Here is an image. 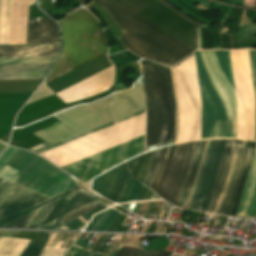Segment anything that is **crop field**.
<instances>
[{
  "label": "crop field",
  "instance_id": "8a807250",
  "mask_svg": "<svg viewBox=\"0 0 256 256\" xmlns=\"http://www.w3.org/2000/svg\"><path fill=\"white\" fill-rule=\"evenodd\" d=\"M0 175L48 198L76 185L73 178L39 156L8 147L0 156ZM0 176V218L48 198Z\"/></svg>",
  "mask_w": 256,
  "mask_h": 256
},
{
  "label": "crop field",
  "instance_id": "a9b5d70f",
  "mask_svg": "<svg viewBox=\"0 0 256 256\" xmlns=\"http://www.w3.org/2000/svg\"><path fill=\"white\" fill-rule=\"evenodd\" d=\"M135 248L123 247L115 252L113 256H130Z\"/></svg>",
  "mask_w": 256,
  "mask_h": 256
},
{
  "label": "crop field",
  "instance_id": "cbeb9de0",
  "mask_svg": "<svg viewBox=\"0 0 256 256\" xmlns=\"http://www.w3.org/2000/svg\"><path fill=\"white\" fill-rule=\"evenodd\" d=\"M50 64L0 65V80L43 79Z\"/></svg>",
  "mask_w": 256,
  "mask_h": 256
},
{
  "label": "crop field",
  "instance_id": "5866460e",
  "mask_svg": "<svg viewBox=\"0 0 256 256\" xmlns=\"http://www.w3.org/2000/svg\"><path fill=\"white\" fill-rule=\"evenodd\" d=\"M112 255V253L111 254H109V255H105V256H111ZM94 256H102V255H99V254H97V253H95V255Z\"/></svg>",
  "mask_w": 256,
  "mask_h": 256
},
{
  "label": "crop field",
  "instance_id": "dafd665d",
  "mask_svg": "<svg viewBox=\"0 0 256 256\" xmlns=\"http://www.w3.org/2000/svg\"><path fill=\"white\" fill-rule=\"evenodd\" d=\"M144 112H145V110L142 111V112L136 113V114H134V115H131V116H129V117H126V118H124V119H121V120H118V121H116V122H113V123H111V124H108V125H105V126H103V127H100V128H98V129H95V130H93V131L87 132V133L82 134V135H80V136H77V137H75V138L69 139V140L64 141V142H62V143L56 144V145L51 146V147H49V148H46V149H44V150L38 151V152H36V153L39 154V153H41V152L47 151V150L52 149V148H54V147H57V146H59V145L65 144V143L70 142V141H72V140H75V139H77V138L83 137V136L88 135V134H90V133H93V132H95V131L101 130V129L106 128V127H108V126H111V125H113V124L119 123V122L124 121V120H126V119H129V118H131V117H134V116H137V115H139V114H142V113H144Z\"/></svg>",
  "mask_w": 256,
  "mask_h": 256
},
{
  "label": "crop field",
  "instance_id": "d1516ede",
  "mask_svg": "<svg viewBox=\"0 0 256 256\" xmlns=\"http://www.w3.org/2000/svg\"><path fill=\"white\" fill-rule=\"evenodd\" d=\"M227 140H210L189 209L207 210Z\"/></svg>",
  "mask_w": 256,
  "mask_h": 256
},
{
  "label": "crop field",
  "instance_id": "5142ce71",
  "mask_svg": "<svg viewBox=\"0 0 256 256\" xmlns=\"http://www.w3.org/2000/svg\"><path fill=\"white\" fill-rule=\"evenodd\" d=\"M59 45L0 47V57L55 56Z\"/></svg>",
  "mask_w": 256,
  "mask_h": 256
},
{
  "label": "crop field",
  "instance_id": "3316defc",
  "mask_svg": "<svg viewBox=\"0 0 256 256\" xmlns=\"http://www.w3.org/2000/svg\"><path fill=\"white\" fill-rule=\"evenodd\" d=\"M147 20L191 45L197 49L196 45V27L188 23L191 21L197 25H203L195 19L189 17L166 0H159L169 9L180 15L171 12L157 0H116Z\"/></svg>",
  "mask_w": 256,
  "mask_h": 256
},
{
  "label": "crop field",
  "instance_id": "bd1437ed",
  "mask_svg": "<svg viewBox=\"0 0 256 256\" xmlns=\"http://www.w3.org/2000/svg\"><path fill=\"white\" fill-rule=\"evenodd\" d=\"M155 202H156V201H150V202H149L148 209H147V211H146V213H145V215H144L143 218L148 219V217H149V215H150V213H151V211H152V209H153V207H154Z\"/></svg>",
  "mask_w": 256,
  "mask_h": 256
},
{
  "label": "crop field",
  "instance_id": "eef30255",
  "mask_svg": "<svg viewBox=\"0 0 256 256\" xmlns=\"http://www.w3.org/2000/svg\"><path fill=\"white\" fill-rule=\"evenodd\" d=\"M248 216L256 217V192H255L253 202H252V205H251L250 212H249Z\"/></svg>",
  "mask_w": 256,
  "mask_h": 256
},
{
  "label": "crop field",
  "instance_id": "d8731c3e",
  "mask_svg": "<svg viewBox=\"0 0 256 256\" xmlns=\"http://www.w3.org/2000/svg\"><path fill=\"white\" fill-rule=\"evenodd\" d=\"M256 142L228 140L208 212L235 216Z\"/></svg>",
  "mask_w": 256,
  "mask_h": 256
},
{
  "label": "crop field",
  "instance_id": "214f88e0",
  "mask_svg": "<svg viewBox=\"0 0 256 256\" xmlns=\"http://www.w3.org/2000/svg\"><path fill=\"white\" fill-rule=\"evenodd\" d=\"M81 188H83V187L81 186ZM77 189H79L78 186L76 188L72 189V190H69V191L64 192V193H62L60 195H57V196H55V197H53V198H51V199H49V200H47L45 202H42V203H40V204H38V205L28 209V210H25V211L19 212L17 214H14L12 216H9L7 218H4V219L0 220V226L5 224V223H7V222H9V221H11V220H13V219H16V218L22 216V215H24V214H26V213H28L30 211H33V210H35V209H37V208H39V207H41V206H43L45 204H48V203H50V202H52V201H54V200H56V199H58V198H60L62 196H65V195H67V194H69V193H71V192H73V191H75Z\"/></svg>",
  "mask_w": 256,
  "mask_h": 256
},
{
  "label": "crop field",
  "instance_id": "ac0d7876",
  "mask_svg": "<svg viewBox=\"0 0 256 256\" xmlns=\"http://www.w3.org/2000/svg\"><path fill=\"white\" fill-rule=\"evenodd\" d=\"M202 101L201 139L236 138V97L229 51L195 53Z\"/></svg>",
  "mask_w": 256,
  "mask_h": 256
},
{
  "label": "crop field",
  "instance_id": "5a996713",
  "mask_svg": "<svg viewBox=\"0 0 256 256\" xmlns=\"http://www.w3.org/2000/svg\"><path fill=\"white\" fill-rule=\"evenodd\" d=\"M151 152L126 161L132 175L141 183ZM126 163L95 178L91 190L116 203L138 200L142 184L131 175Z\"/></svg>",
  "mask_w": 256,
  "mask_h": 256
},
{
  "label": "crop field",
  "instance_id": "120bbe31",
  "mask_svg": "<svg viewBox=\"0 0 256 256\" xmlns=\"http://www.w3.org/2000/svg\"><path fill=\"white\" fill-rule=\"evenodd\" d=\"M112 235L110 234H107V236L104 238V240L101 242L100 246L98 247L97 249V252L101 253L105 243L109 240V238L111 237Z\"/></svg>",
  "mask_w": 256,
  "mask_h": 256
},
{
  "label": "crop field",
  "instance_id": "34b2d1b8",
  "mask_svg": "<svg viewBox=\"0 0 256 256\" xmlns=\"http://www.w3.org/2000/svg\"><path fill=\"white\" fill-rule=\"evenodd\" d=\"M144 108L143 85L90 105L74 107L53 115L62 123L34 133L46 142L27 150L35 152Z\"/></svg>",
  "mask_w": 256,
  "mask_h": 256
},
{
  "label": "crop field",
  "instance_id": "4a817a6b",
  "mask_svg": "<svg viewBox=\"0 0 256 256\" xmlns=\"http://www.w3.org/2000/svg\"><path fill=\"white\" fill-rule=\"evenodd\" d=\"M13 0H5V12L1 44H9Z\"/></svg>",
  "mask_w": 256,
  "mask_h": 256
},
{
  "label": "crop field",
  "instance_id": "733c2abd",
  "mask_svg": "<svg viewBox=\"0 0 256 256\" xmlns=\"http://www.w3.org/2000/svg\"><path fill=\"white\" fill-rule=\"evenodd\" d=\"M50 235L51 233H47L46 237L42 242L27 240L24 243L18 256H39Z\"/></svg>",
  "mask_w": 256,
  "mask_h": 256
},
{
  "label": "crop field",
  "instance_id": "ae1a2a85",
  "mask_svg": "<svg viewBox=\"0 0 256 256\" xmlns=\"http://www.w3.org/2000/svg\"><path fill=\"white\" fill-rule=\"evenodd\" d=\"M151 251H142L140 249H135L131 256H148Z\"/></svg>",
  "mask_w": 256,
  "mask_h": 256
},
{
  "label": "crop field",
  "instance_id": "730fd06b",
  "mask_svg": "<svg viewBox=\"0 0 256 256\" xmlns=\"http://www.w3.org/2000/svg\"><path fill=\"white\" fill-rule=\"evenodd\" d=\"M82 253H83V250H80L76 247H71L69 253L66 256H81Z\"/></svg>",
  "mask_w": 256,
  "mask_h": 256
},
{
  "label": "crop field",
  "instance_id": "d3111659",
  "mask_svg": "<svg viewBox=\"0 0 256 256\" xmlns=\"http://www.w3.org/2000/svg\"><path fill=\"white\" fill-rule=\"evenodd\" d=\"M90 240L88 239H82V240H77L74 245L76 246H80V247H83V248H86V246L88 245Z\"/></svg>",
  "mask_w": 256,
  "mask_h": 256
},
{
  "label": "crop field",
  "instance_id": "750c4746",
  "mask_svg": "<svg viewBox=\"0 0 256 256\" xmlns=\"http://www.w3.org/2000/svg\"><path fill=\"white\" fill-rule=\"evenodd\" d=\"M18 232L14 231H0V239L2 236L16 237Z\"/></svg>",
  "mask_w": 256,
  "mask_h": 256
},
{
  "label": "crop field",
  "instance_id": "d9b57169",
  "mask_svg": "<svg viewBox=\"0 0 256 256\" xmlns=\"http://www.w3.org/2000/svg\"><path fill=\"white\" fill-rule=\"evenodd\" d=\"M256 187V150L249 170L237 215L247 216Z\"/></svg>",
  "mask_w": 256,
  "mask_h": 256
},
{
  "label": "crop field",
  "instance_id": "dd49c442",
  "mask_svg": "<svg viewBox=\"0 0 256 256\" xmlns=\"http://www.w3.org/2000/svg\"><path fill=\"white\" fill-rule=\"evenodd\" d=\"M147 103L146 151L175 143V99L169 68L139 61Z\"/></svg>",
  "mask_w": 256,
  "mask_h": 256
},
{
  "label": "crop field",
  "instance_id": "028f5c9d",
  "mask_svg": "<svg viewBox=\"0 0 256 256\" xmlns=\"http://www.w3.org/2000/svg\"><path fill=\"white\" fill-rule=\"evenodd\" d=\"M89 252L88 251H86L84 254H83V256H87V254H88Z\"/></svg>",
  "mask_w": 256,
  "mask_h": 256
},
{
  "label": "crop field",
  "instance_id": "e1f06a70",
  "mask_svg": "<svg viewBox=\"0 0 256 256\" xmlns=\"http://www.w3.org/2000/svg\"><path fill=\"white\" fill-rule=\"evenodd\" d=\"M93 254H94L93 252H90V254L88 256H93Z\"/></svg>",
  "mask_w": 256,
  "mask_h": 256
},
{
  "label": "crop field",
  "instance_id": "412701ff",
  "mask_svg": "<svg viewBox=\"0 0 256 256\" xmlns=\"http://www.w3.org/2000/svg\"><path fill=\"white\" fill-rule=\"evenodd\" d=\"M95 1L124 32L121 43L141 57L172 66L196 50L114 0Z\"/></svg>",
  "mask_w": 256,
  "mask_h": 256
},
{
  "label": "crop field",
  "instance_id": "28ad6ade",
  "mask_svg": "<svg viewBox=\"0 0 256 256\" xmlns=\"http://www.w3.org/2000/svg\"><path fill=\"white\" fill-rule=\"evenodd\" d=\"M96 199L99 197L87 195L82 189H79L1 227L37 228Z\"/></svg>",
  "mask_w": 256,
  "mask_h": 256
},
{
  "label": "crop field",
  "instance_id": "22f410ed",
  "mask_svg": "<svg viewBox=\"0 0 256 256\" xmlns=\"http://www.w3.org/2000/svg\"><path fill=\"white\" fill-rule=\"evenodd\" d=\"M59 43L58 27L49 18L29 19L26 44Z\"/></svg>",
  "mask_w": 256,
  "mask_h": 256
},
{
  "label": "crop field",
  "instance_id": "e52e79f7",
  "mask_svg": "<svg viewBox=\"0 0 256 256\" xmlns=\"http://www.w3.org/2000/svg\"><path fill=\"white\" fill-rule=\"evenodd\" d=\"M63 49L46 81L55 79L103 54L108 41L96 20L80 9L60 21ZM45 81V83H46Z\"/></svg>",
  "mask_w": 256,
  "mask_h": 256
},
{
  "label": "crop field",
  "instance_id": "92a150f3",
  "mask_svg": "<svg viewBox=\"0 0 256 256\" xmlns=\"http://www.w3.org/2000/svg\"><path fill=\"white\" fill-rule=\"evenodd\" d=\"M99 205H101V203L98 200H96V201H94V202H92V203H90V204H88V205H86V206H84V207L74 211V212H71V213H69V214H67V215H65V216H63V217H61V218H59V219L49 223V224L59 225V224L65 222V221H67V220H69L71 218H74V217H76V216H78V215H80V214H82V213H84L86 211H89V210H91V209H93V208H95V207H97Z\"/></svg>",
  "mask_w": 256,
  "mask_h": 256
},
{
  "label": "crop field",
  "instance_id": "00972430",
  "mask_svg": "<svg viewBox=\"0 0 256 256\" xmlns=\"http://www.w3.org/2000/svg\"><path fill=\"white\" fill-rule=\"evenodd\" d=\"M249 53H250V60H251L255 93H256V50H249Z\"/></svg>",
  "mask_w": 256,
  "mask_h": 256
},
{
  "label": "crop field",
  "instance_id": "4177f3b9",
  "mask_svg": "<svg viewBox=\"0 0 256 256\" xmlns=\"http://www.w3.org/2000/svg\"><path fill=\"white\" fill-rule=\"evenodd\" d=\"M106 211L96 215L94 217V219L91 221V223L87 226V228L85 230H92L93 227L96 225V223L99 221V219L103 216V214L105 213Z\"/></svg>",
  "mask_w": 256,
  "mask_h": 256
},
{
  "label": "crop field",
  "instance_id": "d32e631a",
  "mask_svg": "<svg viewBox=\"0 0 256 256\" xmlns=\"http://www.w3.org/2000/svg\"><path fill=\"white\" fill-rule=\"evenodd\" d=\"M40 256H53V254L41 252Z\"/></svg>",
  "mask_w": 256,
  "mask_h": 256
},
{
  "label": "crop field",
  "instance_id": "f4fd0767",
  "mask_svg": "<svg viewBox=\"0 0 256 256\" xmlns=\"http://www.w3.org/2000/svg\"><path fill=\"white\" fill-rule=\"evenodd\" d=\"M203 141L181 143L154 150L143 184L170 204L178 206L185 190H189L191 186Z\"/></svg>",
  "mask_w": 256,
  "mask_h": 256
},
{
  "label": "crop field",
  "instance_id": "bc2a9ffb",
  "mask_svg": "<svg viewBox=\"0 0 256 256\" xmlns=\"http://www.w3.org/2000/svg\"><path fill=\"white\" fill-rule=\"evenodd\" d=\"M119 213L120 212H118L117 210H115L113 208L108 209L107 212L104 214V216L97 223V225L94 227L93 230L107 231V229L110 227V225L113 223V221L119 215Z\"/></svg>",
  "mask_w": 256,
  "mask_h": 256
},
{
  "label": "crop field",
  "instance_id": "1d83c4d3",
  "mask_svg": "<svg viewBox=\"0 0 256 256\" xmlns=\"http://www.w3.org/2000/svg\"><path fill=\"white\" fill-rule=\"evenodd\" d=\"M162 251H152V253L149 256H159ZM170 252L163 251L160 256H170Z\"/></svg>",
  "mask_w": 256,
  "mask_h": 256
}]
</instances>
